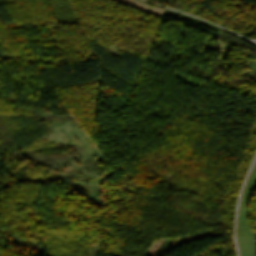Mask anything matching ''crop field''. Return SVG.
I'll return each instance as SVG.
<instances>
[{
    "label": "crop field",
    "instance_id": "1",
    "mask_svg": "<svg viewBox=\"0 0 256 256\" xmlns=\"http://www.w3.org/2000/svg\"><path fill=\"white\" fill-rule=\"evenodd\" d=\"M119 1L125 2L127 4L139 7L141 9H144V10H147V11L159 14V15H162L163 12L165 11L164 9H160V8H156V7H149L147 4H144L137 0H119Z\"/></svg>",
    "mask_w": 256,
    "mask_h": 256
}]
</instances>
